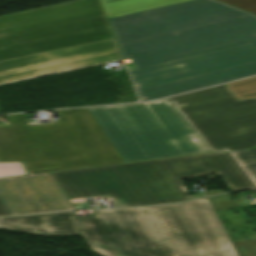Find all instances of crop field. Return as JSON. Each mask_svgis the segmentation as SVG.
Returning a JSON list of instances; mask_svg holds the SVG:
<instances>
[{"label": "crop field", "instance_id": "dd49c442", "mask_svg": "<svg viewBox=\"0 0 256 256\" xmlns=\"http://www.w3.org/2000/svg\"><path fill=\"white\" fill-rule=\"evenodd\" d=\"M100 0L0 17V61L112 38Z\"/></svg>", "mask_w": 256, "mask_h": 256}, {"label": "crop field", "instance_id": "412701ff", "mask_svg": "<svg viewBox=\"0 0 256 256\" xmlns=\"http://www.w3.org/2000/svg\"><path fill=\"white\" fill-rule=\"evenodd\" d=\"M51 124L6 116L0 161H24L29 174L124 162L86 108L57 111Z\"/></svg>", "mask_w": 256, "mask_h": 256}, {"label": "crop field", "instance_id": "f4fd0767", "mask_svg": "<svg viewBox=\"0 0 256 256\" xmlns=\"http://www.w3.org/2000/svg\"><path fill=\"white\" fill-rule=\"evenodd\" d=\"M87 109L125 162L211 152L169 101Z\"/></svg>", "mask_w": 256, "mask_h": 256}, {"label": "crop field", "instance_id": "d9b57169", "mask_svg": "<svg viewBox=\"0 0 256 256\" xmlns=\"http://www.w3.org/2000/svg\"><path fill=\"white\" fill-rule=\"evenodd\" d=\"M256 14V0H220Z\"/></svg>", "mask_w": 256, "mask_h": 256}, {"label": "crop field", "instance_id": "8a807250", "mask_svg": "<svg viewBox=\"0 0 256 256\" xmlns=\"http://www.w3.org/2000/svg\"><path fill=\"white\" fill-rule=\"evenodd\" d=\"M143 100L256 74V15L118 46Z\"/></svg>", "mask_w": 256, "mask_h": 256}, {"label": "crop field", "instance_id": "d8731c3e", "mask_svg": "<svg viewBox=\"0 0 256 256\" xmlns=\"http://www.w3.org/2000/svg\"><path fill=\"white\" fill-rule=\"evenodd\" d=\"M247 15L216 0H190L108 20L120 45Z\"/></svg>", "mask_w": 256, "mask_h": 256}, {"label": "crop field", "instance_id": "34b2d1b8", "mask_svg": "<svg viewBox=\"0 0 256 256\" xmlns=\"http://www.w3.org/2000/svg\"><path fill=\"white\" fill-rule=\"evenodd\" d=\"M221 174L231 190L254 188L229 152L55 172L69 199L111 195L116 207L190 199L181 179Z\"/></svg>", "mask_w": 256, "mask_h": 256}, {"label": "crop field", "instance_id": "3316defc", "mask_svg": "<svg viewBox=\"0 0 256 256\" xmlns=\"http://www.w3.org/2000/svg\"><path fill=\"white\" fill-rule=\"evenodd\" d=\"M0 202L9 215L74 209L51 173L0 178Z\"/></svg>", "mask_w": 256, "mask_h": 256}, {"label": "crop field", "instance_id": "5a996713", "mask_svg": "<svg viewBox=\"0 0 256 256\" xmlns=\"http://www.w3.org/2000/svg\"><path fill=\"white\" fill-rule=\"evenodd\" d=\"M115 39L0 62V85L121 60Z\"/></svg>", "mask_w": 256, "mask_h": 256}, {"label": "crop field", "instance_id": "ac0d7876", "mask_svg": "<svg viewBox=\"0 0 256 256\" xmlns=\"http://www.w3.org/2000/svg\"><path fill=\"white\" fill-rule=\"evenodd\" d=\"M229 193L185 204L94 210L75 218L103 256H256V240L230 242L214 210L238 206Z\"/></svg>", "mask_w": 256, "mask_h": 256}, {"label": "crop field", "instance_id": "e52e79f7", "mask_svg": "<svg viewBox=\"0 0 256 256\" xmlns=\"http://www.w3.org/2000/svg\"><path fill=\"white\" fill-rule=\"evenodd\" d=\"M213 150L256 147V99L238 101L225 84L168 98Z\"/></svg>", "mask_w": 256, "mask_h": 256}, {"label": "crop field", "instance_id": "733c2abd", "mask_svg": "<svg viewBox=\"0 0 256 256\" xmlns=\"http://www.w3.org/2000/svg\"><path fill=\"white\" fill-rule=\"evenodd\" d=\"M6 215H8V213L5 211V209L0 204V216H6Z\"/></svg>", "mask_w": 256, "mask_h": 256}, {"label": "crop field", "instance_id": "22f410ed", "mask_svg": "<svg viewBox=\"0 0 256 256\" xmlns=\"http://www.w3.org/2000/svg\"><path fill=\"white\" fill-rule=\"evenodd\" d=\"M226 85L238 100L256 98V77Z\"/></svg>", "mask_w": 256, "mask_h": 256}, {"label": "crop field", "instance_id": "cbeb9de0", "mask_svg": "<svg viewBox=\"0 0 256 256\" xmlns=\"http://www.w3.org/2000/svg\"><path fill=\"white\" fill-rule=\"evenodd\" d=\"M256 184V149L231 152Z\"/></svg>", "mask_w": 256, "mask_h": 256}, {"label": "crop field", "instance_id": "d1516ede", "mask_svg": "<svg viewBox=\"0 0 256 256\" xmlns=\"http://www.w3.org/2000/svg\"><path fill=\"white\" fill-rule=\"evenodd\" d=\"M185 0H101L108 18Z\"/></svg>", "mask_w": 256, "mask_h": 256}, {"label": "crop field", "instance_id": "28ad6ade", "mask_svg": "<svg viewBox=\"0 0 256 256\" xmlns=\"http://www.w3.org/2000/svg\"><path fill=\"white\" fill-rule=\"evenodd\" d=\"M0 228L49 236L78 234L73 212L3 218Z\"/></svg>", "mask_w": 256, "mask_h": 256}, {"label": "crop field", "instance_id": "5142ce71", "mask_svg": "<svg viewBox=\"0 0 256 256\" xmlns=\"http://www.w3.org/2000/svg\"><path fill=\"white\" fill-rule=\"evenodd\" d=\"M27 174L22 162H0V177Z\"/></svg>", "mask_w": 256, "mask_h": 256}]
</instances>
